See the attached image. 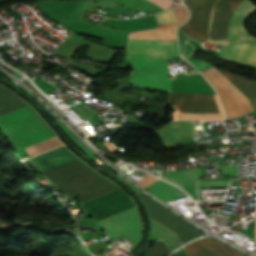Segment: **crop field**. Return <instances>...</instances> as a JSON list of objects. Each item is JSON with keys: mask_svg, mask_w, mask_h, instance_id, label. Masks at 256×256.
Here are the masks:
<instances>
[{"mask_svg": "<svg viewBox=\"0 0 256 256\" xmlns=\"http://www.w3.org/2000/svg\"><path fill=\"white\" fill-rule=\"evenodd\" d=\"M155 29L129 32L128 38L177 40L178 26L172 9L155 14ZM126 52L168 59L178 56L177 41H151L128 39ZM126 53L135 71L167 77V61L153 57ZM135 72L130 82L147 87L162 88L170 92L172 79ZM171 92L215 94L213 88L200 75L178 76L173 79ZM171 93L170 104L179 108L177 119L220 120L223 110L216 95Z\"/></svg>", "mask_w": 256, "mask_h": 256, "instance_id": "obj_1", "label": "crop field"}, {"mask_svg": "<svg viewBox=\"0 0 256 256\" xmlns=\"http://www.w3.org/2000/svg\"><path fill=\"white\" fill-rule=\"evenodd\" d=\"M44 175L69 198L79 196L81 202L116 190L77 161Z\"/></svg>", "mask_w": 256, "mask_h": 256, "instance_id": "obj_2", "label": "crop field"}, {"mask_svg": "<svg viewBox=\"0 0 256 256\" xmlns=\"http://www.w3.org/2000/svg\"><path fill=\"white\" fill-rule=\"evenodd\" d=\"M228 78L248 99L252 109H256V85L230 73L220 71ZM215 68L201 73L210 81L217 90L223 107L226 111V118H234L252 111L247 98Z\"/></svg>", "mask_w": 256, "mask_h": 256, "instance_id": "obj_3", "label": "crop field"}, {"mask_svg": "<svg viewBox=\"0 0 256 256\" xmlns=\"http://www.w3.org/2000/svg\"><path fill=\"white\" fill-rule=\"evenodd\" d=\"M245 1L219 0L212 17V40L227 37L230 19L241 2L231 20L228 37L247 34L244 23L256 12V7Z\"/></svg>", "mask_w": 256, "mask_h": 256, "instance_id": "obj_4", "label": "crop field"}, {"mask_svg": "<svg viewBox=\"0 0 256 256\" xmlns=\"http://www.w3.org/2000/svg\"><path fill=\"white\" fill-rule=\"evenodd\" d=\"M0 128L20 149L52 137L27 107L0 117Z\"/></svg>", "mask_w": 256, "mask_h": 256, "instance_id": "obj_5", "label": "crop field"}, {"mask_svg": "<svg viewBox=\"0 0 256 256\" xmlns=\"http://www.w3.org/2000/svg\"><path fill=\"white\" fill-rule=\"evenodd\" d=\"M99 224L108 234V239L127 237L135 245L139 242L141 218L136 207L103 219Z\"/></svg>", "mask_w": 256, "mask_h": 256, "instance_id": "obj_6", "label": "crop field"}, {"mask_svg": "<svg viewBox=\"0 0 256 256\" xmlns=\"http://www.w3.org/2000/svg\"><path fill=\"white\" fill-rule=\"evenodd\" d=\"M131 207L135 204L121 189L82 204L84 213L97 221Z\"/></svg>", "mask_w": 256, "mask_h": 256, "instance_id": "obj_7", "label": "crop field"}, {"mask_svg": "<svg viewBox=\"0 0 256 256\" xmlns=\"http://www.w3.org/2000/svg\"><path fill=\"white\" fill-rule=\"evenodd\" d=\"M139 196L144 201L150 217L168 229L176 232L184 241L187 242L203 235V233L197 231L193 226L186 223L163 206L157 204L153 199L149 198L145 194H139Z\"/></svg>", "mask_w": 256, "mask_h": 256, "instance_id": "obj_8", "label": "crop field"}, {"mask_svg": "<svg viewBox=\"0 0 256 256\" xmlns=\"http://www.w3.org/2000/svg\"><path fill=\"white\" fill-rule=\"evenodd\" d=\"M183 1L190 11V18L180 29L201 40L208 37L210 16L213 6L218 0Z\"/></svg>", "mask_w": 256, "mask_h": 256, "instance_id": "obj_9", "label": "crop field"}, {"mask_svg": "<svg viewBox=\"0 0 256 256\" xmlns=\"http://www.w3.org/2000/svg\"><path fill=\"white\" fill-rule=\"evenodd\" d=\"M184 248L190 256H241L243 254L213 238L198 240Z\"/></svg>", "mask_w": 256, "mask_h": 256, "instance_id": "obj_10", "label": "crop field"}, {"mask_svg": "<svg viewBox=\"0 0 256 256\" xmlns=\"http://www.w3.org/2000/svg\"><path fill=\"white\" fill-rule=\"evenodd\" d=\"M75 160H78V158L72 154L66 146H62L50 152L29 159L27 162H29L32 166L43 173Z\"/></svg>", "mask_w": 256, "mask_h": 256, "instance_id": "obj_11", "label": "crop field"}, {"mask_svg": "<svg viewBox=\"0 0 256 256\" xmlns=\"http://www.w3.org/2000/svg\"><path fill=\"white\" fill-rule=\"evenodd\" d=\"M219 56L256 68V42L227 44Z\"/></svg>", "mask_w": 256, "mask_h": 256, "instance_id": "obj_12", "label": "crop field"}, {"mask_svg": "<svg viewBox=\"0 0 256 256\" xmlns=\"http://www.w3.org/2000/svg\"><path fill=\"white\" fill-rule=\"evenodd\" d=\"M158 133L165 140L167 146L182 144L189 137L196 135L193 121L178 120L167 124Z\"/></svg>", "mask_w": 256, "mask_h": 256, "instance_id": "obj_13", "label": "crop field"}, {"mask_svg": "<svg viewBox=\"0 0 256 256\" xmlns=\"http://www.w3.org/2000/svg\"><path fill=\"white\" fill-rule=\"evenodd\" d=\"M145 189L164 202L188 196L180 191L178 188L167 184L159 179Z\"/></svg>", "mask_w": 256, "mask_h": 256, "instance_id": "obj_14", "label": "crop field"}, {"mask_svg": "<svg viewBox=\"0 0 256 256\" xmlns=\"http://www.w3.org/2000/svg\"><path fill=\"white\" fill-rule=\"evenodd\" d=\"M28 105L17 95L0 86V116Z\"/></svg>", "mask_w": 256, "mask_h": 256, "instance_id": "obj_15", "label": "crop field"}, {"mask_svg": "<svg viewBox=\"0 0 256 256\" xmlns=\"http://www.w3.org/2000/svg\"><path fill=\"white\" fill-rule=\"evenodd\" d=\"M163 176L182 187L192 186L193 182L201 176L200 169L182 170V171H166L160 172Z\"/></svg>", "mask_w": 256, "mask_h": 256, "instance_id": "obj_16", "label": "crop field"}, {"mask_svg": "<svg viewBox=\"0 0 256 256\" xmlns=\"http://www.w3.org/2000/svg\"><path fill=\"white\" fill-rule=\"evenodd\" d=\"M152 222V233L157 235L159 238L163 239L169 248L172 250L180 246L177 234L171 232L161 224L155 222L151 219Z\"/></svg>", "mask_w": 256, "mask_h": 256, "instance_id": "obj_17", "label": "crop field"}, {"mask_svg": "<svg viewBox=\"0 0 256 256\" xmlns=\"http://www.w3.org/2000/svg\"><path fill=\"white\" fill-rule=\"evenodd\" d=\"M61 144H62L61 141L57 138V136H55L53 138L47 139V140L37 143L35 145L29 146V147H27V150L29 151L31 156H35V155L45 152L49 149L57 147Z\"/></svg>", "mask_w": 256, "mask_h": 256, "instance_id": "obj_18", "label": "crop field"}, {"mask_svg": "<svg viewBox=\"0 0 256 256\" xmlns=\"http://www.w3.org/2000/svg\"><path fill=\"white\" fill-rule=\"evenodd\" d=\"M171 251L167 246L161 241L154 246L150 247L144 256H166Z\"/></svg>", "mask_w": 256, "mask_h": 256, "instance_id": "obj_19", "label": "crop field"}, {"mask_svg": "<svg viewBox=\"0 0 256 256\" xmlns=\"http://www.w3.org/2000/svg\"><path fill=\"white\" fill-rule=\"evenodd\" d=\"M176 4V3H175ZM175 12V15L177 17V20L179 22V24L183 23L184 21H186L187 17H188V11L185 7L176 4L175 8H172Z\"/></svg>", "mask_w": 256, "mask_h": 256, "instance_id": "obj_20", "label": "crop field"}, {"mask_svg": "<svg viewBox=\"0 0 256 256\" xmlns=\"http://www.w3.org/2000/svg\"><path fill=\"white\" fill-rule=\"evenodd\" d=\"M229 181L197 182V188L228 187Z\"/></svg>", "mask_w": 256, "mask_h": 256, "instance_id": "obj_21", "label": "crop field"}, {"mask_svg": "<svg viewBox=\"0 0 256 256\" xmlns=\"http://www.w3.org/2000/svg\"><path fill=\"white\" fill-rule=\"evenodd\" d=\"M240 40H254L256 41V38H253L251 36H244V37H236V38H226V39H221V40H217V41H214L218 44H221V45H224L228 42H232V41H240Z\"/></svg>", "mask_w": 256, "mask_h": 256, "instance_id": "obj_22", "label": "crop field"}, {"mask_svg": "<svg viewBox=\"0 0 256 256\" xmlns=\"http://www.w3.org/2000/svg\"><path fill=\"white\" fill-rule=\"evenodd\" d=\"M194 51H196L194 46L187 41L186 44H185V50H184L183 58L185 60L193 59L192 52H194Z\"/></svg>", "mask_w": 256, "mask_h": 256, "instance_id": "obj_23", "label": "crop field"}, {"mask_svg": "<svg viewBox=\"0 0 256 256\" xmlns=\"http://www.w3.org/2000/svg\"><path fill=\"white\" fill-rule=\"evenodd\" d=\"M148 1L156 4L157 6L163 9L171 7L172 3L174 2V0H148Z\"/></svg>", "mask_w": 256, "mask_h": 256, "instance_id": "obj_24", "label": "crop field"}, {"mask_svg": "<svg viewBox=\"0 0 256 256\" xmlns=\"http://www.w3.org/2000/svg\"><path fill=\"white\" fill-rule=\"evenodd\" d=\"M223 174L237 175L238 172V164L234 166L222 167Z\"/></svg>", "mask_w": 256, "mask_h": 256, "instance_id": "obj_25", "label": "crop field"}, {"mask_svg": "<svg viewBox=\"0 0 256 256\" xmlns=\"http://www.w3.org/2000/svg\"><path fill=\"white\" fill-rule=\"evenodd\" d=\"M157 178L152 177V176H147L146 178L142 179L141 181H139L138 183H140L141 185H143L144 187L147 186L148 184L152 183L153 181H155ZM142 186V187H143Z\"/></svg>", "mask_w": 256, "mask_h": 256, "instance_id": "obj_26", "label": "crop field"}, {"mask_svg": "<svg viewBox=\"0 0 256 256\" xmlns=\"http://www.w3.org/2000/svg\"><path fill=\"white\" fill-rule=\"evenodd\" d=\"M189 63H194L200 70H202V69H205V68H207V67H210L209 66V64H206V63H204V62H202V61H200V60H197V61H194V60H192L191 62L190 61H188ZM191 63V64H192ZM194 65V66H195ZM195 66V67H196ZM208 69V68H207Z\"/></svg>", "mask_w": 256, "mask_h": 256, "instance_id": "obj_27", "label": "crop field"}, {"mask_svg": "<svg viewBox=\"0 0 256 256\" xmlns=\"http://www.w3.org/2000/svg\"><path fill=\"white\" fill-rule=\"evenodd\" d=\"M170 256H187V255L184 253V251H181V252L174 253Z\"/></svg>", "mask_w": 256, "mask_h": 256, "instance_id": "obj_28", "label": "crop field"}, {"mask_svg": "<svg viewBox=\"0 0 256 256\" xmlns=\"http://www.w3.org/2000/svg\"><path fill=\"white\" fill-rule=\"evenodd\" d=\"M254 241L256 243V217H255V238H254Z\"/></svg>", "mask_w": 256, "mask_h": 256, "instance_id": "obj_29", "label": "crop field"}, {"mask_svg": "<svg viewBox=\"0 0 256 256\" xmlns=\"http://www.w3.org/2000/svg\"><path fill=\"white\" fill-rule=\"evenodd\" d=\"M181 1V0H180Z\"/></svg>", "mask_w": 256, "mask_h": 256, "instance_id": "obj_30", "label": "crop field"}]
</instances>
